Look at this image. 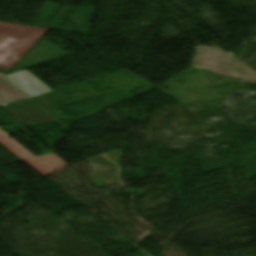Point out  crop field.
<instances>
[{
  "instance_id": "1",
  "label": "crop field",
  "mask_w": 256,
  "mask_h": 256,
  "mask_svg": "<svg viewBox=\"0 0 256 256\" xmlns=\"http://www.w3.org/2000/svg\"><path fill=\"white\" fill-rule=\"evenodd\" d=\"M2 109L24 127L56 121L29 99L2 107Z\"/></svg>"
},
{
  "instance_id": "2",
  "label": "crop field",
  "mask_w": 256,
  "mask_h": 256,
  "mask_svg": "<svg viewBox=\"0 0 256 256\" xmlns=\"http://www.w3.org/2000/svg\"><path fill=\"white\" fill-rule=\"evenodd\" d=\"M4 78L10 81L29 97L34 96L32 95L34 93L39 95L52 91L26 70L4 76Z\"/></svg>"
},
{
  "instance_id": "3",
  "label": "crop field",
  "mask_w": 256,
  "mask_h": 256,
  "mask_svg": "<svg viewBox=\"0 0 256 256\" xmlns=\"http://www.w3.org/2000/svg\"><path fill=\"white\" fill-rule=\"evenodd\" d=\"M25 98V96H23L6 81L0 78V104H7Z\"/></svg>"
}]
</instances>
